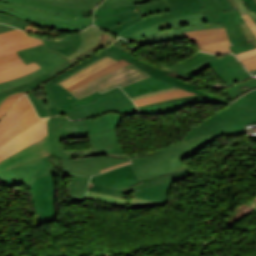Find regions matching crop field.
I'll return each mask as SVG.
<instances>
[{"instance_id":"crop-field-1","label":"crop field","mask_w":256,"mask_h":256,"mask_svg":"<svg viewBox=\"0 0 256 256\" xmlns=\"http://www.w3.org/2000/svg\"><path fill=\"white\" fill-rule=\"evenodd\" d=\"M135 49H132L127 41L123 39H118L115 43H113L109 48L99 52V54H106L115 60L125 59L131 64L139 67L144 70L152 77L132 83L122 89L130 96H135L147 92L157 91L164 88L178 86L188 91L195 92L215 103H226L227 101L222 100L220 98L214 97L204 91L196 89L197 86L174 78L172 76L167 75L169 72L180 69L186 73L190 72L195 67L215 58L216 56L205 54L198 52L195 55L188 57L172 66L166 67L162 70H159L135 57L131 54Z\"/></svg>"},{"instance_id":"crop-field-2","label":"crop field","mask_w":256,"mask_h":256,"mask_svg":"<svg viewBox=\"0 0 256 256\" xmlns=\"http://www.w3.org/2000/svg\"><path fill=\"white\" fill-rule=\"evenodd\" d=\"M99 54H95L84 61L80 62L71 69L61 73L53 80L44 84V89L48 95V98L53 107L48 109H43L35 98L33 92L28 93L30 100L32 101L39 117H47L51 115L66 114L69 119H81L92 116L100 115L106 111H117L123 113L137 112V109L133 102L128 98V96L120 89L113 92L89 105L84 107L80 106L74 108L71 103L77 101L69 92H67L60 85H53L52 82L67 74L68 72L78 68L79 66L97 58ZM69 74V73H68ZM70 96V98H69Z\"/></svg>"},{"instance_id":"crop-field-3","label":"crop field","mask_w":256,"mask_h":256,"mask_svg":"<svg viewBox=\"0 0 256 256\" xmlns=\"http://www.w3.org/2000/svg\"><path fill=\"white\" fill-rule=\"evenodd\" d=\"M54 0H0V13L14 15L41 26L76 32L92 25L94 8L53 5Z\"/></svg>"},{"instance_id":"crop-field-4","label":"crop field","mask_w":256,"mask_h":256,"mask_svg":"<svg viewBox=\"0 0 256 256\" xmlns=\"http://www.w3.org/2000/svg\"><path fill=\"white\" fill-rule=\"evenodd\" d=\"M216 138V135H212L171 142L153 153L131 158V165L139 181L185 170L187 167L180 160L195 154L207 143L215 141Z\"/></svg>"},{"instance_id":"crop-field-5","label":"crop field","mask_w":256,"mask_h":256,"mask_svg":"<svg viewBox=\"0 0 256 256\" xmlns=\"http://www.w3.org/2000/svg\"><path fill=\"white\" fill-rule=\"evenodd\" d=\"M256 122V100L242 96L233 104L222 109L187 131L183 140L216 134L239 135L244 125Z\"/></svg>"},{"instance_id":"crop-field-6","label":"crop field","mask_w":256,"mask_h":256,"mask_svg":"<svg viewBox=\"0 0 256 256\" xmlns=\"http://www.w3.org/2000/svg\"><path fill=\"white\" fill-rule=\"evenodd\" d=\"M17 53L26 64L35 61L42 68L25 77L0 83V100L13 91L31 90L73 65L58 54L47 51L44 45L31 47Z\"/></svg>"},{"instance_id":"crop-field-7","label":"crop field","mask_w":256,"mask_h":256,"mask_svg":"<svg viewBox=\"0 0 256 256\" xmlns=\"http://www.w3.org/2000/svg\"><path fill=\"white\" fill-rule=\"evenodd\" d=\"M194 175L189 169L181 172H177L168 176L157 177L131 186L125 190L100 186L96 184H89L88 190L110 194L124 198V193H135V199L130 202V208L152 207L166 205L168 202V196L172 185L182 179L188 178Z\"/></svg>"},{"instance_id":"crop-field-8","label":"crop field","mask_w":256,"mask_h":256,"mask_svg":"<svg viewBox=\"0 0 256 256\" xmlns=\"http://www.w3.org/2000/svg\"><path fill=\"white\" fill-rule=\"evenodd\" d=\"M167 23V25H165ZM224 27L223 24L206 23L201 12L178 17L143 30L137 31L127 37L129 42L135 41L140 46L184 39L182 32ZM136 47V45L134 46Z\"/></svg>"},{"instance_id":"crop-field-9","label":"crop field","mask_w":256,"mask_h":256,"mask_svg":"<svg viewBox=\"0 0 256 256\" xmlns=\"http://www.w3.org/2000/svg\"><path fill=\"white\" fill-rule=\"evenodd\" d=\"M113 40L114 35L91 26L83 32L68 34L60 40L42 41L49 50L58 53L74 64L108 46Z\"/></svg>"},{"instance_id":"crop-field-10","label":"crop field","mask_w":256,"mask_h":256,"mask_svg":"<svg viewBox=\"0 0 256 256\" xmlns=\"http://www.w3.org/2000/svg\"><path fill=\"white\" fill-rule=\"evenodd\" d=\"M204 4L201 0H158L136 5L144 17L122 30L118 35L125 37L142 28L194 12H199Z\"/></svg>"},{"instance_id":"crop-field-11","label":"crop field","mask_w":256,"mask_h":256,"mask_svg":"<svg viewBox=\"0 0 256 256\" xmlns=\"http://www.w3.org/2000/svg\"><path fill=\"white\" fill-rule=\"evenodd\" d=\"M206 7L201 8L206 22L224 23L225 29L233 43L230 49L234 54L255 48L253 43L246 39L238 20L232 10L224 12L217 0H202Z\"/></svg>"},{"instance_id":"crop-field-12","label":"crop field","mask_w":256,"mask_h":256,"mask_svg":"<svg viewBox=\"0 0 256 256\" xmlns=\"http://www.w3.org/2000/svg\"><path fill=\"white\" fill-rule=\"evenodd\" d=\"M32 195L36 215V225L56 220L54 192L55 185L52 175L38 177L34 183L25 184Z\"/></svg>"},{"instance_id":"crop-field-13","label":"crop field","mask_w":256,"mask_h":256,"mask_svg":"<svg viewBox=\"0 0 256 256\" xmlns=\"http://www.w3.org/2000/svg\"><path fill=\"white\" fill-rule=\"evenodd\" d=\"M150 77L139 68L129 64L123 68L113 71L107 75L97 78L73 91L71 93L78 99L98 90L106 91L116 85L120 87L132 82Z\"/></svg>"},{"instance_id":"crop-field-14","label":"crop field","mask_w":256,"mask_h":256,"mask_svg":"<svg viewBox=\"0 0 256 256\" xmlns=\"http://www.w3.org/2000/svg\"><path fill=\"white\" fill-rule=\"evenodd\" d=\"M208 67H211L214 73L220 76L228 85H231L251 76L246 72L245 68L241 65V63L235 58L233 54L218 56L212 61L192 70L188 74L177 70L170 73L169 75L177 78H181L184 76L191 77L194 74Z\"/></svg>"},{"instance_id":"crop-field-15","label":"crop field","mask_w":256,"mask_h":256,"mask_svg":"<svg viewBox=\"0 0 256 256\" xmlns=\"http://www.w3.org/2000/svg\"><path fill=\"white\" fill-rule=\"evenodd\" d=\"M50 156L30 161L0 173V181L8 187L34 182L38 176L56 174V170L49 163Z\"/></svg>"},{"instance_id":"crop-field-16","label":"crop field","mask_w":256,"mask_h":256,"mask_svg":"<svg viewBox=\"0 0 256 256\" xmlns=\"http://www.w3.org/2000/svg\"><path fill=\"white\" fill-rule=\"evenodd\" d=\"M49 123V138L53 146V156L60 158H85L90 156H103L107 155L115 158H128L120 154H93L92 149L81 150V151H68L64 152L63 146L61 143V133L60 126L72 125V124H81L84 123L83 120L71 122L64 116H56L48 119Z\"/></svg>"},{"instance_id":"crop-field-17","label":"crop field","mask_w":256,"mask_h":256,"mask_svg":"<svg viewBox=\"0 0 256 256\" xmlns=\"http://www.w3.org/2000/svg\"><path fill=\"white\" fill-rule=\"evenodd\" d=\"M130 159H114L106 156L90 157L85 159H61L65 174L85 177L99 174V170L105 169Z\"/></svg>"},{"instance_id":"crop-field-18","label":"crop field","mask_w":256,"mask_h":256,"mask_svg":"<svg viewBox=\"0 0 256 256\" xmlns=\"http://www.w3.org/2000/svg\"><path fill=\"white\" fill-rule=\"evenodd\" d=\"M39 39L28 37L21 30L0 33V64L19 58L15 51L41 45Z\"/></svg>"},{"instance_id":"crop-field-19","label":"crop field","mask_w":256,"mask_h":256,"mask_svg":"<svg viewBox=\"0 0 256 256\" xmlns=\"http://www.w3.org/2000/svg\"><path fill=\"white\" fill-rule=\"evenodd\" d=\"M47 136L46 118L41 119L28 130L12 139L0 148V161L9 155L17 152L23 147Z\"/></svg>"},{"instance_id":"crop-field-20","label":"crop field","mask_w":256,"mask_h":256,"mask_svg":"<svg viewBox=\"0 0 256 256\" xmlns=\"http://www.w3.org/2000/svg\"><path fill=\"white\" fill-rule=\"evenodd\" d=\"M52 153L47 137L23 148L0 162V172Z\"/></svg>"},{"instance_id":"crop-field-21","label":"crop field","mask_w":256,"mask_h":256,"mask_svg":"<svg viewBox=\"0 0 256 256\" xmlns=\"http://www.w3.org/2000/svg\"><path fill=\"white\" fill-rule=\"evenodd\" d=\"M90 182L121 189L138 183L130 164L94 176Z\"/></svg>"},{"instance_id":"crop-field-22","label":"crop field","mask_w":256,"mask_h":256,"mask_svg":"<svg viewBox=\"0 0 256 256\" xmlns=\"http://www.w3.org/2000/svg\"><path fill=\"white\" fill-rule=\"evenodd\" d=\"M94 153H121L124 154L118 143L115 130L89 136Z\"/></svg>"},{"instance_id":"crop-field-23","label":"crop field","mask_w":256,"mask_h":256,"mask_svg":"<svg viewBox=\"0 0 256 256\" xmlns=\"http://www.w3.org/2000/svg\"><path fill=\"white\" fill-rule=\"evenodd\" d=\"M120 19L98 25L99 27L117 34L122 29L143 18L137 11L135 5L117 8Z\"/></svg>"},{"instance_id":"crop-field-24","label":"crop field","mask_w":256,"mask_h":256,"mask_svg":"<svg viewBox=\"0 0 256 256\" xmlns=\"http://www.w3.org/2000/svg\"><path fill=\"white\" fill-rule=\"evenodd\" d=\"M40 68L35 62L25 65L21 58L0 65V82L22 77Z\"/></svg>"},{"instance_id":"crop-field-25","label":"crop field","mask_w":256,"mask_h":256,"mask_svg":"<svg viewBox=\"0 0 256 256\" xmlns=\"http://www.w3.org/2000/svg\"><path fill=\"white\" fill-rule=\"evenodd\" d=\"M184 35L197 46L229 39L224 28L185 32Z\"/></svg>"},{"instance_id":"crop-field-26","label":"crop field","mask_w":256,"mask_h":256,"mask_svg":"<svg viewBox=\"0 0 256 256\" xmlns=\"http://www.w3.org/2000/svg\"><path fill=\"white\" fill-rule=\"evenodd\" d=\"M122 114L110 112L103 114L95 119L85 120L88 133H97L116 128Z\"/></svg>"},{"instance_id":"crop-field-27","label":"crop field","mask_w":256,"mask_h":256,"mask_svg":"<svg viewBox=\"0 0 256 256\" xmlns=\"http://www.w3.org/2000/svg\"><path fill=\"white\" fill-rule=\"evenodd\" d=\"M38 120H40L36 114L35 111L23 118L20 122H18L15 126L7 130L3 135L0 136V147L4 145L6 142L11 140L12 138L16 137L26 129H28L30 126H32L34 123H36Z\"/></svg>"},{"instance_id":"crop-field-28","label":"crop field","mask_w":256,"mask_h":256,"mask_svg":"<svg viewBox=\"0 0 256 256\" xmlns=\"http://www.w3.org/2000/svg\"><path fill=\"white\" fill-rule=\"evenodd\" d=\"M116 62L115 60L111 59L110 57H106L102 59L101 61L81 70L80 72L74 74L73 76L69 77L68 79L64 80L63 82L59 83L65 88L72 85L73 83L81 80L82 78ZM67 89V88H66Z\"/></svg>"},{"instance_id":"crop-field-29","label":"crop field","mask_w":256,"mask_h":256,"mask_svg":"<svg viewBox=\"0 0 256 256\" xmlns=\"http://www.w3.org/2000/svg\"><path fill=\"white\" fill-rule=\"evenodd\" d=\"M190 103H212L204 98H195L190 100H183V101H177L173 103H166V104H160L157 106H152L144 109H140L139 111L149 114H155V113H161V112H168L173 111L175 109H178L182 107L183 105L190 104Z\"/></svg>"},{"instance_id":"crop-field-30","label":"crop field","mask_w":256,"mask_h":256,"mask_svg":"<svg viewBox=\"0 0 256 256\" xmlns=\"http://www.w3.org/2000/svg\"><path fill=\"white\" fill-rule=\"evenodd\" d=\"M90 177L72 178L69 186L70 201L83 202Z\"/></svg>"},{"instance_id":"crop-field-31","label":"crop field","mask_w":256,"mask_h":256,"mask_svg":"<svg viewBox=\"0 0 256 256\" xmlns=\"http://www.w3.org/2000/svg\"><path fill=\"white\" fill-rule=\"evenodd\" d=\"M187 95H194V93L180 89V90H176V91H171V92H167V93H163V94H158V95H154V96H150V97L137 99V100H134V102H135L136 106H139V105L153 103V102H157V101H161V100H165V99H169V98L187 96Z\"/></svg>"},{"instance_id":"crop-field-32","label":"crop field","mask_w":256,"mask_h":256,"mask_svg":"<svg viewBox=\"0 0 256 256\" xmlns=\"http://www.w3.org/2000/svg\"><path fill=\"white\" fill-rule=\"evenodd\" d=\"M254 88H256V79L251 78V79H247L241 83H238L236 85L228 87L226 92L232 97V100L234 101L240 95H242Z\"/></svg>"},{"instance_id":"crop-field-33","label":"crop field","mask_w":256,"mask_h":256,"mask_svg":"<svg viewBox=\"0 0 256 256\" xmlns=\"http://www.w3.org/2000/svg\"><path fill=\"white\" fill-rule=\"evenodd\" d=\"M127 64H129V63L122 59V60H120V61H118V62H116V63H114V64H112V65H110V66H108V67H106V68H104V69H102V70H100V71H98V72H96V73H94V74L84 78V79H82L81 81L75 83L74 85L68 87L67 89L70 91V90H72V89H74V88H76V87H78V86H80L82 84H85V83L93 80V78L100 77V76H102V75H104L106 73H109V72H111L113 70H116V69H118V68H120L122 66H125Z\"/></svg>"},{"instance_id":"crop-field-34","label":"crop field","mask_w":256,"mask_h":256,"mask_svg":"<svg viewBox=\"0 0 256 256\" xmlns=\"http://www.w3.org/2000/svg\"><path fill=\"white\" fill-rule=\"evenodd\" d=\"M62 140L87 137L85 125H73L61 127Z\"/></svg>"},{"instance_id":"crop-field-35","label":"crop field","mask_w":256,"mask_h":256,"mask_svg":"<svg viewBox=\"0 0 256 256\" xmlns=\"http://www.w3.org/2000/svg\"><path fill=\"white\" fill-rule=\"evenodd\" d=\"M94 13H95V25L119 18L116 8L96 9Z\"/></svg>"},{"instance_id":"crop-field-36","label":"crop field","mask_w":256,"mask_h":256,"mask_svg":"<svg viewBox=\"0 0 256 256\" xmlns=\"http://www.w3.org/2000/svg\"><path fill=\"white\" fill-rule=\"evenodd\" d=\"M103 0H55L53 4L70 7H94L98 6Z\"/></svg>"},{"instance_id":"crop-field-37","label":"crop field","mask_w":256,"mask_h":256,"mask_svg":"<svg viewBox=\"0 0 256 256\" xmlns=\"http://www.w3.org/2000/svg\"><path fill=\"white\" fill-rule=\"evenodd\" d=\"M228 46H231L229 40L224 41V42L213 43V44L201 46V47H199V49L202 51L211 52V53H215V54H224V53L231 52V50L229 49Z\"/></svg>"},{"instance_id":"crop-field-38","label":"crop field","mask_w":256,"mask_h":256,"mask_svg":"<svg viewBox=\"0 0 256 256\" xmlns=\"http://www.w3.org/2000/svg\"><path fill=\"white\" fill-rule=\"evenodd\" d=\"M30 101L26 95L21 97L17 103L12 107L11 111L0 121V127L9 121L14 115H16L21 109H23Z\"/></svg>"},{"instance_id":"crop-field-39","label":"crop field","mask_w":256,"mask_h":256,"mask_svg":"<svg viewBox=\"0 0 256 256\" xmlns=\"http://www.w3.org/2000/svg\"><path fill=\"white\" fill-rule=\"evenodd\" d=\"M148 1L150 0H105L98 8L123 7Z\"/></svg>"},{"instance_id":"crop-field-40","label":"crop field","mask_w":256,"mask_h":256,"mask_svg":"<svg viewBox=\"0 0 256 256\" xmlns=\"http://www.w3.org/2000/svg\"><path fill=\"white\" fill-rule=\"evenodd\" d=\"M32 111H34V109H33L32 105L30 103L22 111H20L15 117H13L9 122H7L5 125H3L0 128V135L3 134L7 129H9L13 125H15L18 121H20L23 117H25L26 115H28Z\"/></svg>"},{"instance_id":"crop-field-41","label":"crop field","mask_w":256,"mask_h":256,"mask_svg":"<svg viewBox=\"0 0 256 256\" xmlns=\"http://www.w3.org/2000/svg\"><path fill=\"white\" fill-rule=\"evenodd\" d=\"M0 22L18 27L22 30H24V28L30 24L26 21L20 20L14 16L6 15V14H0Z\"/></svg>"},{"instance_id":"crop-field-42","label":"crop field","mask_w":256,"mask_h":256,"mask_svg":"<svg viewBox=\"0 0 256 256\" xmlns=\"http://www.w3.org/2000/svg\"><path fill=\"white\" fill-rule=\"evenodd\" d=\"M26 92H21L17 94H13L6 98L0 105V119L6 114V112L12 107V105L16 102V100L25 94Z\"/></svg>"},{"instance_id":"crop-field-43","label":"crop field","mask_w":256,"mask_h":256,"mask_svg":"<svg viewBox=\"0 0 256 256\" xmlns=\"http://www.w3.org/2000/svg\"><path fill=\"white\" fill-rule=\"evenodd\" d=\"M117 89H119V88L115 87V88H113L111 90H108L106 92H103V93H99V92L94 93V94H92V95H90L88 97H85V98H83V99L73 103V105H74V107H77V106H80V105L84 106V105H86V104H88V103H90V102H92V101H94V100H96V99H98V98H100V97L110 93V92H113V91H115Z\"/></svg>"},{"instance_id":"crop-field-44","label":"crop field","mask_w":256,"mask_h":256,"mask_svg":"<svg viewBox=\"0 0 256 256\" xmlns=\"http://www.w3.org/2000/svg\"><path fill=\"white\" fill-rule=\"evenodd\" d=\"M87 197L104 200V201H109V202H114V203H120V204H124V202H125V199L117 198V197L110 196V195L93 193V192H89V191L87 193Z\"/></svg>"},{"instance_id":"crop-field-45","label":"crop field","mask_w":256,"mask_h":256,"mask_svg":"<svg viewBox=\"0 0 256 256\" xmlns=\"http://www.w3.org/2000/svg\"><path fill=\"white\" fill-rule=\"evenodd\" d=\"M234 8H237L240 14L248 13L250 17L256 22V15L249 12L247 6L243 3L242 0H230ZM256 2V0H254Z\"/></svg>"},{"instance_id":"crop-field-46","label":"crop field","mask_w":256,"mask_h":256,"mask_svg":"<svg viewBox=\"0 0 256 256\" xmlns=\"http://www.w3.org/2000/svg\"><path fill=\"white\" fill-rule=\"evenodd\" d=\"M222 8L224 11L226 10H230V9H233L237 19L239 20V22H242L243 19L241 17V15L239 14V12L237 11V9H234L233 6L231 5L230 1L229 0H219ZM245 21V20H244Z\"/></svg>"},{"instance_id":"crop-field-47","label":"crop field","mask_w":256,"mask_h":256,"mask_svg":"<svg viewBox=\"0 0 256 256\" xmlns=\"http://www.w3.org/2000/svg\"><path fill=\"white\" fill-rule=\"evenodd\" d=\"M104 57H106V56H105V55H101V56L98 57L97 59H95V60H93V61H91V62L85 64L84 66H82V67H80V68H78V69H76V70L70 72L69 74L63 76L62 78L58 79V80H57L56 82H54V83L58 84L59 82H61V81H63L64 79L68 78L69 76L73 75L74 73L80 71L81 69L87 67L88 65H90V64H92V63H94V62H96V61H98V60H100V59H102V58H104Z\"/></svg>"},{"instance_id":"crop-field-48","label":"crop field","mask_w":256,"mask_h":256,"mask_svg":"<svg viewBox=\"0 0 256 256\" xmlns=\"http://www.w3.org/2000/svg\"><path fill=\"white\" fill-rule=\"evenodd\" d=\"M248 71L256 69V56L241 60Z\"/></svg>"},{"instance_id":"crop-field-49","label":"crop field","mask_w":256,"mask_h":256,"mask_svg":"<svg viewBox=\"0 0 256 256\" xmlns=\"http://www.w3.org/2000/svg\"><path fill=\"white\" fill-rule=\"evenodd\" d=\"M246 24H245V22H242L241 26H242L249 42L252 41L256 46V37L253 35V33L250 31V29L248 28V26Z\"/></svg>"},{"instance_id":"crop-field-50","label":"crop field","mask_w":256,"mask_h":256,"mask_svg":"<svg viewBox=\"0 0 256 256\" xmlns=\"http://www.w3.org/2000/svg\"><path fill=\"white\" fill-rule=\"evenodd\" d=\"M242 17L249 26V28L252 30L254 35L256 36V23L248 16V14L242 15Z\"/></svg>"},{"instance_id":"crop-field-51","label":"crop field","mask_w":256,"mask_h":256,"mask_svg":"<svg viewBox=\"0 0 256 256\" xmlns=\"http://www.w3.org/2000/svg\"><path fill=\"white\" fill-rule=\"evenodd\" d=\"M194 97H201V96H199V95H194V96H187V97H181V98L170 99V100H166V101H162V102H158V103H153V104H148V105H144V106H139L138 109L144 108V107H148V106H151V105L160 104V103L172 102V101L182 100V99H189V98H194Z\"/></svg>"},{"instance_id":"crop-field-52","label":"crop field","mask_w":256,"mask_h":256,"mask_svg":"<svg viewBox=\"0 0 256 256\" xmlns=\"http://www.w3.org/2000/svg\"><path fill=\"white\" fill-rule=\"evenodd\" d=\"M254 55H256V48L240 54H236L239 60L250 57V56H254Z\"/></svg>"},{"instance_id":"crop-field-53","label":"crop field","mask_w":256,"mask_h":256,"mask_svg":"<svg viewBox=\"0 0 256 256\" xmlns=\"http://www.w3.org/2000/svg\"><path fill=\"white\" fill-rule=\"evenodd\" d=\"M175 89H179V88L173 87V88H168V89L157 91V92H152V93H147V94L139 95V96H136V97H132V100L133 99H137V98H141V97H145V96H150V95H154V94H158V93H163V92L175 90Z\"/></svg>"},{"instance_id":"crop-field-54","label":"crop field","mask_w":256,"mask_h":256,"mask_svg":"<svg viewBox=\"0 0 256 256\" xmlns=\"http://www.w3.org/2000/svg\"><path fill=\"white\" fill-rule=\"evenodd\" d=\"M25 30L28 32H33V33H41V34H46V35H51V36H58L57 34L41 31V30L29 27V26L27 28H25Z\"/></svg>"},{"instance_id":"crop-field-55","label":"crop field","mask_w":256,"mask_h":256,"mask_svg":"<svg viewBox=\"0 0 256 256\" xmlns=\"http://www.w3.org/2000/svg\"><path fill=\"white\" fill-rule=\"evenodd\" d=\"M243 1L251 11L256 13V4L253 0H243Z\"/></svg>"},{"instance_id":"crop-field-56","label":"crop field","mask_w":256,"mask_h":256,"mask_svg":"<svg viewBox=\"0 0 256 256\" xmlns=\"http://www.w3.org/2000/svg\"><path fill=\"white\" fill-rule=\"evenodd\" d=\"M246 204L250 206L256 213V196L252 200L246 202Z\"/></svg>"},{"instance_id":"crop-field-57","label":"crop field","mask_w":256,"mask_h":256,"mask_svg":"<svg viewBox=\"0 0 256 256\" xmlns=\"http://www.w3.org/2000/svg\"><path fill=\"white\" fill-rule=\"evenodd\" d=\"M88 200H91V201H98V202H103V203H106V204H110V205H116V206H125V207H127V205H128V203L130 202V201H128V200H126V202H125V204L124 205H120V204H114V203H109V202H104V201H99V200H94V199H89V198H87Z\"/></svg>"},{"instance_id":"crop-field-58","label":"crop field","mask_w":256,"mask_h":256,"mask_svg":"<svg viewBox=\"0 0 256 256\" xmlns=\"http://www.w3.org/2000/svg\"><path fill=\"white\" fill-rule=\"evenodd\" d=\"M12 29H16V28L0 24V32L12 30Z\"/></svg>"},{"instance_id":"crop-field-59","label":"crop field","mask_w":256,"mask_h":256,"mask_svg":"<svg viewBox=\"0 0 256 256\" xmlns=\"http://www.w3.org/2000/svg\"><path fill=\"white\" fill-rule=\"evenodd\" d=\"M244 96L256 99V90L249 92V93L245 94Z\"/></svg>"},{"instance_id":"crop-field-60","label":"crop field","mask_w":256,"mask_h":256,"mask_svg":"<svg viewBox=\"0 0 256 256\" xmlns=\"http://www.w3.org/2000/svg\"><path fill=\"white\" fill-rule=\"evenodd\" d=\"M129 162H130V161H129ZM129 162H127V163H129ZM127 163H122V164H120V165H117V166H114V167H111V168H108V169H112V168H115V167H118V166H121V165H124V164H127ZM108 169L101 170V173L104 172V171H106V170H108Z\"/></svg>"},{"instance_id":"crop-field-61","label":"crop field","mask_w":256,"mask_h":256,"mask_svg":"<svg viewBox=\"0 0 256 256\" xmlns=\"http://www.w3.org/2000/svg\"><path fill=\"white\" fill-rule=\"evenodd\" d=\"M14 93H16V92H14ZM12 94H13V93H12ZM10 95H11V94H10ZM8 96H9V95H8ZM6 97H7V96H6ZM6 97H5V98H6ZM5 98H3V99L0 101V103H1Z\"/></svg>"},{"instance_id":"crop-field-62","label":"crop field","mask_w":256,"mask_h":256,"mask_svg":"<svg viewBox=\"0 0 256 256\" xmlns=\"http://www.w3.org/2000/svg\"><path fill=\"white\" fill-rule=\"evenodd\" d=\"M252 139L256 142V136H254Z\"/></svg>"},{"instance_id":"crop-field-63","label":"crop field","mask_w":256,"mask_h":256,"mask_svg":"<svg viewBox=\"0 0 256 256\" xmlns=\"http://www.w3.org/2000/svg\"><path fill=\"white\" fill-rule=\"evenodd\" d=\"M256 73H254L253 75H255Z\"/></svg>"}]
</instances>
